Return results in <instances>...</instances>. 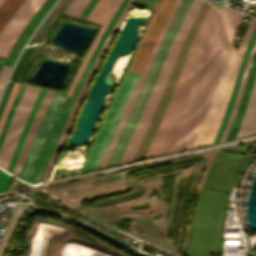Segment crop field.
Here are the masks:
<instances>
[{"mask_svg":"<svg viewBox=\"0 0 256 256\" xmlns=\"http://www.w3.org/2000/svg\"><path fill=\"white\" fill-rule=\"evenodd\" d=\"M254 79H255V77L249 72L248 77H247V81H246V85H245V88H244V92H243V95H242V99L240 101V104H239V107L237 109L234 121H233V123L230 127V131H229L228 136H227L225 141L233 139L234 136L236 135L237 131H238V128H239V125H240V122H241V119H242V115L244 113L245 107L247 105L248 97H249L251 88H252L253 83H254Z\"/></svg>","mask_w":256,"mask_h":256,"instance_id":"733c2abd","label":"crop field"},{"mask_svg":"<svg viewBox=\"0 0 256 256\" xmlns=\"http://www.w3.org/2000/svg\"><path fill=\"white\" fill-rule=\"evenodd\" d=\"M29 0H25L23 2V4L18 8V10L15 12V14L12 16V18L9 20V22L6 24V26L4 27V29L1 31L0 33V40L3 37V35L6 33V31L8 30V28L10 27L11 23L13 22V20L16 18V16L21 12V10L25 7V5L28 3Z\"/></svg>","mask_w":256,"mask_h":256,"instance_id":"d3111659","label":"crop field"},{"mask_svg":"<svg viewBox=\"0 0 256 256\" xmlns=\"http://www.w3.org/2000/svg\"><path fill=\"white\" fill-rule=\"evenodd\" d=\"M243 69H244V65L241 61L240 68H239V71H238V74H237V77H236V80H235V84H234L230 99L228 101V105L226 107V110H225V113H224V116H223V120L220 124V127L217 131V134L215 136V139H214L213 143H218L219 138H220V136H221V134H222V132L225 128L226 121H227V119L230 115V112L232 110V107H233L234 99H235V96H236V93H237V90H238V86H239L241 75L243 73Z\"/></svg>","mask_w":256,"mask_h":256,"instance_id":"bc2a9ffb","label":"crop field"},{"mask_svg":"<svg viewBox=\"0 0 256 256\" xmlns=\"http://www.w3.org/2000/svg\"><path fill=\"white\" fill-rule=\"evenodd\" d=\"M17 89H18V88H15V87L12 88V90H11V92H10V94H9V97H8V99H7V101H6V104H5L3 113H2V115H1V117H0V131H1V129H2L3 123H4V121H5V118H6V116H7V113H8V111H9V108H10L12 102H13V99H14V97H15V94H16Z\"/></svg>","mask_w":256,"mask_h":256,"instance_id":"730fd06b","label":"crop field"},{"mask_svg":"<svg viewBox=\"0 0 256 256\" xmlns=\"http://www.w3.org/2000/svg\"><path fill=\"white\" fill-rule=\"evenodd\" d=\"M224 17H225V20H226V27H227V30H228V35H229V38L232 40V38L234 37L244 15L242 14H239L229 8H226V7H222L221 11H220Z\"/></svg>","mask_w":256,"mask_h":256,"instance_id":"214f88e0","label":"crop field"},{"mask_svg":"<svg viewBox=\"0 0 256 256\" xmlns=\"http://www.w3.org/2000/svg\"><path fill=\"white\" fill-rule=\"evenodd\" d=\"M256 133V80L245 110L244 118L240 125L239 132L235 138Z\"/></svg>","mask_w":256,"mask_h":256,"instance_id":"d9b57169","label":"crop field"},{"mask_svg":"<svg viewBox=\"0 0 256 256\" xmlns=\"http://www.w3.org/2000/svg\"><path fill=\"white\" fill-rule=\"evenodd\" d=\"M132 2H133V0H129L128 4L124 8V10L121 13L120 17L118 18V20L113 25V27H112L111 31L109 32V34H108V36H107V38H106V40H105V42H104L100 52H99V54L97 55L93 65H92V67H91V69H90V71H89V73H88V75H87V77H86L82 87H81V90H80V92H79V94L77 96V99H76V101L74 103V106H73V108L71 110V113H70V115H69V117H68V119H67V121L65 123V126H64V128L62 130L60 138H59V140L57 142V145H56V147H55V149L53 151V154H52V156H51V158L49 160V163H48V165H47V167H46V169H45V171H44L40 181H45V180L48 179L50 169H51V167H52V165H53V163H54V161L56 159V156H57V153H58L59 148L61 146V143H62V141H63V139H64V137L66 135V132H67V130H68L70 124H71V121H72V119H73V117H74V115L76 113V110H77L78 105H79V103L81 101V98H82V96H83V94H84V92H85V90H86V88H87V86H88V84H89V82H90V80H91V78H92V76H93V74H94V72H95V70H96V68H97V66H98V64H99V62H100V60H101V58H102V56H103L107 46H108V44H109V42H110V40L112 39L113 35L117 31V29H118L122 19L124 18L126 12L128 11L130 5L132 4Z\"/></svg>","mask_w":256,"mask_h":256,"instance_id":"3316defc","label":"crop field"},{"mask_svg":"<svg viewBox=\"0 0 256 256\" xmlns=\"http://www.w3.org/2000/svg\"><path fill=\"white\" fill-rule=\"evenodd\" d=\"M70 97L54 93L17 178L32 183Z\"/></svg>","mask_w":256,"mask_h":256,"instance_id":"e52e79f7","label":"crop field"},{"mask_svg":"<svg viewBox=\"0 0 256 256\" xmlns=\"http://www.w3.org/2000/svg\"><path fill=\"white\" fill-rule=\"evenodd\" d=\"M39 90L38 88L27 86L17 106L0 150V167L4 169L8 166L16 141Z\"/></svg>","mask_w":256,"mask_h":256,"instance_id":"d8731c3e","label":"crop field"},{"mask_svg":"<svg viewBox=\"0 0 256 256\" xmlns=\"http://www.w3.org/2000/svg\"><path fill=\"white\" fill-rule=\"evenodd\" d=\"M85 1L86 0H72L64 10V13L76 16Z\"/></svg>","mask_w":256,"mask_h":256,"instance_id":"eef30255","label":"crop field"},{"mask_svg":"<svg viewBox=\"0 0 256 256\" xmlns=\"http://www.w3.org/2000/svg\"><path fill=\"white\" fill-rule=\"evenodd\" d=\"M24 88H25V86L20 85V87H19V89L17 91L16 97L14 99V102H13L11 108H10V111L8 113V116L6 118V121L4 123L3 129H2L1 134H0V147H1V144L3 142L4 136L6 134L7 128L9 126V123L11 121V118H12V116L14 114L15 109H16V106H17V104L19 102V99H20L22 93H23Z\"/></svg>","mask_w":256,"mask_h":256,"instance_id":"a9b5d70f","label":"crop field"},{"mask_svg":"<svg viewBox=\"0 0 256 256\" xmlns=\"http://www.w3.org/2000/svg\"><path fill=\"white\" fill-rule=\"evenodd\" d=\"M180 1H181V0H177V1H176V3H175V5H174L173 9L171 10V12H170V14H169V16H168V18H167V20H166L164 26L162 27V29H161V31H160V33H159V35H158V37H157V39H156V41H155V45H154L153 48L157 49V47H158V45H159V43H160V41H161V39H162V37H163V35H164L166 29H167V27H168V25H169V23H170V21H171V18H172V16H173V14L175 13V11H176V9H177V7H178ZM155 49L152 50V52H151V54H150V56H149V58H148V60H147V63H146V65H145V68H144V70H143V72H142V74H141V76H140V79H139V81H138V83H137V85H136V88H135V90H134V92H133V95H132V97H131V99H130V102H129L128 106H127V109H126V111H125V113H124V115H123V118H122V120H121V122H120V124H119V126H118V128H117V130H116V133H115V135H114V137H113V140H112V142H111V144H110V147H109L108 152H107V154H106V156H105V158H104V160H103V163H102L101 167H105V166L107 165L108 161H109V158H110V156H111V154H112V151H113V149H114V147H115V144H116V142H117V140H118V138H119V135H120V133H121V131H122V129H123V126H124V124H125V122H126V120H127V117H128V115H129V113H130V110H131V108H132V106H133V104H134V102H135V99H136V97H137V95H138V92H139V90H140V88H141V86H142V84H143V81H144V79H145V76H146V74H147V71H148V69H149V67H150V65H151V63H152L153 57H154V55H155V53H156V50H155Z\"/></svg>","mask_w":256,"mask_h":256,"instance_id":"d1516ede","label":"crop field"},{"mask_svg":"<svg viewBox=\"0 0 256 256\" xmlns=\"http://www.w3.org/2000/svg\"><path fill=\"white\" fill-rule=\"evenodd\" d=\"M52 95H53L52 92L46 91L42 100H41V102H40V104H39V107L36 111L35 117H34L32 123H31V125L28 129L27 134H26L25 141H24V144L22 146L19 157H18V159L16 161V164H15V166H14L12 172H11V174H13L14 176H17V174H18V172H19V170H20V168H21V166H22V164H23V162H24V160H25V158H26V156L29 152V149H30V146L32 144L33 138L35 136L36 130L39 126V123L42 119V116L45 112V109H46Z\"/></svg>","mask_w":256,"mask_h":256,"instance_id":"5142ce71","label":"crop field"},{"mask_svg":"<svg viewBox=\"0 0 256 256\" xmlns=\"http://www.w3.org/2000/svg\"><path fill=\"white\" fill-rule=\"evenodd\" d=\"M121 2H122V0H99L96 3V5L94 6L90 15L87 17V20L100 23V24H102V26H101L96 38L92 42L84 60L82 61L66 95L70 96L89 56L91 55L92 51L94 50V48L99 40V37L103 33L106 25L108 24L109 20L111 19V17L115 13L116 9L118 8V6L120 5Z\"/></svg>","mask_w":256,"mask_h":256,"instance_id":"28ad6ade","label":"crop field"},{"mask_svg":"<svg viewBox=\"0 0 256 256\" xmlns=\"http://www.w3.org/2000/svg\"><path fill=\"white\" fill-rule=\"evenodd\" d=\"M255 37H256V27H255V29H254V31H253V33H252V35H251V37L248 41V44H247V47H246V50H245V54H244V57H243V60H244L245 63H246L248 55H249V53L252 49V45H253Z\"/></svg>","mask_w":256,"mask_h":256,"instance_id":"750c4746","label":"crop field"},{"mask_svg":"<svg viewBox=\"0 0 256 256\" xmlns=\"http://www.w3.org/2000/svg\"><path fill=\"white\" fill-rule=\"evenodd\" d=\"M203 0H193L184 19L182 20L177 33L169 47V50L166 54L163 66L159 72V75L157 77L155 86L144 106V109L139 117L137 126L128 142V145L124 151L121 163L123 162H129L132 160L134 151L141 139V136L147 126V123L154 111V108L158 102V99L160 97V94L163 90V87L165 85V82L169 76L170 70L173 66L176 54L179 50V47L181 45V42L192 22V19L196 13V11L199 9L201 3Z\"/></svg>","mask_w":256,"mask_h":256,"instance_id":"34b2d1b8","label":"crop field"},{"mask_svg":"<svg viewBox=\"0 0 256 256\" xmlns=\"http://www.w3.org/2000/svg\"><path fill=\"white\" fill-rule=\"evenodd\" d=\"M43 93H44V90L41 89L40 92H39V94H38V96H37V98H36V100H35V103H34L32 109H31V111H30V113H29V116H28V118H27V121H26V123H25V125H24V128H23V130H22V132H21V135H20V137H19V139H18V141H17V144H16V147H15V150H14V153H13V156H12V159H11V161H10V164H9L8 168H7V171H8V172H11V170H12V168H13V165H14L16 159H17V156H18V154H19V152H20V149H21V146H22V143H23L25 134H26L27 129H28V127H29V125H30V123H31V121H32V118H33V116H34V114H35V111H36L37 106H38V104H39V102H40V100H41V97H42ZM38 107H39V106H38Z\"/></svg>","mask_w":256,"mask_h":256,"instance_id":"4a817a6b","label":"crop field"},{"mask_svg":"<svg viewBox=\"0 0 256 256\" xmlns=\"http://www.w3.org/2000/svg\"><path fill=\"white\" fill-rule=\"evenodd\" d=\"M3 1H4V0H0V5L2 4Z\"/></svg>","mask_w":256,"mask_h":256,"instance_id":"5866460e","label":"crop field"},{"mask_svg":"<svg viewBox=\"0 0 256 256\" xmlns=\"http://www.w3.org/2000/svg\"><path fill=\"white\" fill-rule=\"evenodd\" d=\"M255 25H256V20L251 19V21H250V23H249V25H248V27H247V29L245 31V34H244V36H243V38H242V40H241V42H240V44H239V46L237 48V51L239 52L241 57H243V53H244L247 41H248V39H249V37H250V35H251Z\"/></svg>","mask_w":256,"mask_h":256,"instance_id":"4177f3b9","label":"crop field"},{"mask_svg":"<svg viewBox=\"0 0 256 256\" xmlns=\"http://www.w3.org/2000/svg\"><path fill=\"white\" fill-rule=\"evenodd\" d=\"M211 6L212 5H210L208 2L204 0L200 9L197 11L193 19L192 25L188 31V34L179 50L178 56L176 58V61L174 63L170 76L168 78L167 84L162 92V95L157 104V107L138 145L137 151L132 161L140 160L145 157L147 149L155 135L157 127L163 117V114L167 108V105L171 99V96L176 88V85L178 83V78L181 74V71L184 66L190 47L199 31L200 25L202 24Z\"/></svg>","mask_w":256,"mask_h":256,"instance_id":"412701ff","label":"crop field"},{"mask_svg":"<svg viewBox=\"0 0 256 256\" xmlns=\"http://www.w3.org/2000/svg\"><path fill=\"white\" fill-rule=\"evenodd\" d=\"M2 64H3V62H2V61H0V68H1Z\"/></svg>","mask_w":256,"mask_h":256,"instance_id":"d32e631a","label":"crop field"},{"mask_svg":"<svg viewBox=\"0 0 256 256\" xmlns=\"http://www.w3.org/2000/svg\"><path fill=\"white\" fill-rule=\"evenodd\" d=\"M253 74L254 76L256 75V52H255V55L251 61V66H250V69H249Z\"/></svg>","mask_w":256,"mask_h":256,"instance_id":"1d83c4d3","label":"crop field"},{"mask_svg":"<svg viewBox=\"0 0 256 256\" xmlns=\"http://www.w3.org/2000/svg\"><path fill=\"white\" fill-rule=\"evenodd\" d=\"M255 49H256V39H255V42H254L253 49H252V51H251V53H250V55H249L248 61H247V63H246L248 69H249L250 61H251V59H252V57H253V55H254Z\"/></svg>","mask_w":256,"mask_h":256,"instance_id":"120bbe31","label":"crop field"},{"mask_svg":"<svg viewBox=\"0 0 256 256\" xmlns=\"http://www.w3.org/2000/svg\"><path fill=\"white\" fill-rule=\"evenodd\" d=\"M13 178V177H12ZM11 179V176L0 170V193H3Z\"/></svg>","mask_w":256,"mask_h":256,"instance_id":"ae1a2a85","label":"crop field"},{"mask_svg":"<svg viewBox=\"0 0 256 256\" xmlns=\"http://www.w3.org/2000/svg\"><path fill=\"white\" fill-rule=\"evenodd\" d=\"M240 61L227 38L223 17L219 13L159 155L212 143Z\"/></svg>","mask_w":256,"mask_h":256,"instance_id":"8a807250","label":"crop field"},{"mask_svg":"<svg viewBox=\"0 0 256 256\" xmlns=\"http://www.w3.org/2000/svg\"><path fill=\"white\" fill-rule=\"evenodd\" d=\"M55 0H46L36 11L31 21L28 23V25L23 30L21 36L19 37L16 44L13 46L10 54L6 58L1 70L2 71H10V68L16 59L20 49L25 44L35 27L37 26L40 19L44 16V14L48 11V9L51 7V5L54 3Z\"/></svg>","mask_w":256,"mask_h":256,"instance_id":"cbeb9de0","label":"crop field"},{"mask_svg":"<svg viewBox=\"0 0 256 256\" xmlns=\"http://www.w3.org/2000/svg\"><path fill=\"white\" fill-rule=\"evenodd\" d=\"M219 11L212 6L209 13L207 14L200 31L191 47L190 53L188 55L187 61L185 63L182 74L179 78V83L173 94L172 100L166 110V113L158 127L154 140L147 152L146 157H153L158 155L159 150L168 134V131L173 123V120L177 114L183 95L187 89L189 80L191 78L197 57L200 53L203 42L218 15ZM145 157V158H146Z\"/></svg>","mask_w":256,"mask_h":256,"instance_id":"dd49c442","label":"crop field"},{"mask_svg":"<svg viewBox=\"0 0 256 256\" xmlns=\"http://www.w3.org/2000/svg\"><path fill=\"white\" fill-rule=\"evenodd\" d=\"M44 1L45 0H30L0 41V57L6 58L9 50L25 27L27 21Z\"/></svg>","mask_w":256,"mask_h":256,"instance_id":"22f410ed","label":"crop field"},{"mask_svg":"<svg viewBox=\"0 0 256 256\" xmlns=\"http://www.w3.org/2000/svg\"><path fill=\"white\" fill-rule=\"evenodd\" d=\"M24 205L25 204H19L18 207L16 206L17 209L15 208L16 211H15V213H14V215H13V217H12V219H11L7 229H6V232H5L3 238H2V240L0 242V256L2 255V253H3L4 249H5V246H6L8 240L10 238V235H11V233H12L14 227H15V224H16L19 216H20V213H21Z\"/></svg>","mask_w":256,"mask_h":256,"instance_id":"dafd665d","label":"crop field"},{"mask_svg":"<svg viewBox=\"0 0 256 256\" xmlns=\"http://www.w3.org/2000/svg\"><path fill=\"white\" fill-rule=\"evenodd\" d=\"M175 1L176 0L155 1L152 7L155 12L153 13L135 49L133 54L134 57L148 58L153 43ZM134 57L131 58V61L121 79L120 85L106 111L81 172L100 167L115 129L118 126L123 111L131 97L135 84L146 62L145 59Z\"/></svg>","mask_w":256,"mask_h":256,"instance_id":"ac0d7876","label":"crop field"},{"mask_svg":"<svg viewBox=\"0 0 256 256\" xmlns=\"http://www.w3.org/2000/svg\"><path fill=\"white\" fill-rule=\"evenodd\" d=\"M192 0H182L172 21L171 24L158 48V51L156 53L155 59L153 61V64L150 68V71L147 75V78L143 84V87L139 93V96L133 106V109L130 113V116L125 124V127L121 133V136L116 144V147L114 149V152L112 154V157L109 161V166L117 165L120 162V159L122 157L123 151L127 145V142L131 136V133L137 123L138 117L143 109V106L147 100V97L150 93V91L153 88V85L155 83L156 76L162 66L165 54L168 50V47L171 43V40L188 8Z\"/></svg>","mask_w":256,"mask_h":256,"instance_id":"f4fd0767","label":"crop field"},{"mask_svg":"<svg viewBox=\"0 0 256 256\" xmlns=\"http://www.w3.org/2000/svg\"><path fill=\"white\" fill-rule=\"evenodd\" d=\"M247 70L246 68L244 69V73H243V76L241 78V82H240V86H239V90H238V93H237V96H236V100H235V104H234V107H233V110L231 112V115L227 121V124H226V128L220 138V141H223L228 133V130H229V127L233 121V118H234V115H235V112H236V109H237V106H238V103L240 101V98H241V95H242V91H243V87H244V84H245V81H246V76H247ZM219 141V142H220Z\"/></svg>","mask_w":256,"mask_h":256,"instance_id":"00972430","label":"crop field"},{"mask_svg":"<svg viewBox=\"0 0 256 256\" xmlns=\"http://www.w3.org/2000/svg\"><path fill=\"white\" fill-rule=\"evenodd\" d=\"M24 0H5L0 6V31Z\"/></svg>","mask_w":256,"mask_h":256,"instance_id":"92a150f3","label":"crop field"},{"mask_svg":"<svg viewBox=\"0 0 256 256\" xmlns=\"http://www.w3.org/2000/svg\"><path fill=\"white\" fill-rule=\"evenodd\" d=\"M9 73L0 71V92Z\"/></svg>","mask_w":256,"mask_h":256,"instance_id":"bd1437ed","label":"crop field"},{"mask_svg":"<svg viewBox=\"0 0 256 256\" xmlns=\"http://www.w3.org/2000/svg\"><path fill=\"white\" fill-rule=\"evenodd\" d=\"M127 1L128 0H123L121 5L119 6L118 10L114 14L110 24L108 25V27L106 28V30L102 34V36H101V38H100V40H99L95 50L93 51V53H92V55H91L87 65H86V67H85V69H84V71H83V73H82V75H81V77H80V79H79V81H78V83H77V85H76L72 95H71V98H70V100H69V102H68V104H67V106H66V108H65V110H64V112L62 114V117H61L60 122L58 124V127L56 129V132H55V134L53 136V139L51 141V144H50V146H49V148L47 150V153H46V155H45V157L43 159V162H42V164H41V166H40V168H39V170H38V172H37V174H36L32 184L38 183V181H39V179H40V177H41V175H42V173H43V171H44V169H45V167H46V165L48 163V160H49V158H50V156L52 154V151H53V149H54V147L56 145V142L58 140V137L60 135L62 127H63V125H64V123H65V121H66V119L68 117V114H69V112H70V110L72 108V105H73V103H74V101L76 99L78 91H79V89H80V87L82 85V82H83V80H84L88 70L90 69V67H91V65H92V63H93V61H94V59H95V57H96L100 47L102 46V44H103V42H104L108 32L110 31L112 25L114 24L115 20L117 19L118 15L120 14L121 10L123 9V7L127 3Z\"/></svg>","mask_w":256,"mask_h":256,"instance_id":"5a996713","label":"crop field"}]
</instances>
